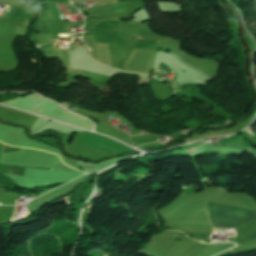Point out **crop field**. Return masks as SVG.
I'll list each match as a JSON object with an SVG mask.
<instances>
[{
    "label": "crop field",
    "instance_id": "obj_1",
    "mask_svg": "<svg viewBox=\"0 0 256 256\" xmlns=\"http://www.w3.org/2000/svg\"><path fill=\"white\" fill-rule=\"evenodd\" d=\"M208 208L256 218V211L208 201ZM208 209L214 227L233 228L254 218ZM220 228V229H221Z\"/></svg>",
    "mask_w": 256,
    "mask_h": 256
},
{
    "label": "crop field",
    "instance_id": "obj_2",
    "mask_svg": "<svg viewBox=\"0 0 256 256\" xmlns=\"http://www.w3.org/2000/svg\"><path fill=\"white\" fill-rule=\"evenodd\" d=\"M80 142L106 149L115 153L131 150L130 148L116 141L89 132L85 133V135L81 138Z\"/></svg>",
    "mask_w": 256,
    "mask_h": 256
},
{
    "label": "crop field",
    "instance_id": "obj_3",
    "mask_svg": "<svg viewBox=\"0 0 256 256\" xmlns=\"http://www.w3.org/2000/svg\"><path fill=\"white\" fill-rule=\"evenodd\" d=\"M238 241L256 239V221L236 227Z\"/></svg>",
    "mask_w": 256,
    "mask_h": 256
},
{
    "label": "crop field",
    "instance_id": "obj_4",
    "mask_svg": "<svg viewBox=\"0 0 256 256\" xmlns=\"http://www.w3.org/2000/svg\"><path fill=\"white\" fill-rule=\"evenodd\" d=\"M0 172L23 176L24 168L0 166Z\"/></svg>",
    "mask_w": 256,
    "mask_h": 256
},
{
    "label": "crop field",
    "instance_id": "obj_5",
    "mask_svg": "<svg viewBox=\"0 0 256 256\" xmlns=\"http://www.w3.org/2000/svg\"><path fill=\"white\" fill-rule=\"evenodd\" d=\"M5 145H3V144H1L0 143V157H1V155H2V153H3V151H4V149H5Z\"/></svg>",
    "mask_w": 256,
    "mask_h": 256
},
{
    "label": "crop field",
    "instance_id": "obj_6",
    "mask_svg": "<svg viewBox=\"0 0 256 256\" xmlns=\"http://www.w3.org/2000/svg\"><path fill=\"white\" fill-rule=\"evenodd\" d=\"M87 47L90 49V51H91V48H90V46L89 45H87ZM92 52V51H91Z\"/></svg>",
    "mask_w": 256,
    "mask_h": 256
}]
</instances>
